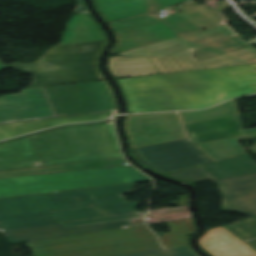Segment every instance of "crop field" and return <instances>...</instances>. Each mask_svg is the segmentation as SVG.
Instances as JSON below:
<instances>
[{
  "label": "crop field",
  "mask_w": 256,
  "mask_h": 256,
  "mask_svg": "<svg viewBox=\"0 0 256 256\" xmlns=\"http://www.w3.org/2000/svg\"><path fill=\"white\" fill-rule=\"evenodd\" d=\"M139 202L50 212L56 223L136 212Z\"/></svg>",
  "instance_id": "bc2a9ffb"
},
{
  "label": "crop field",
  "mask_w": 256,
  "mask_h": 256,
  "mask_svg": "<svg viewBox=\"0 0 256 256\" xmlns=\"http://www.w3.org/2000/svg\"><path fill=\"white\" fill-rule=\"evenodd\" d=\"M155 235L145 226L112 229L103 232L73 235L31 243L36 256L86 250L155 240Z\"/></svg>",
  "instance_id": "5a996713"
},
{
  "label": "crop field",
  "mask_w": 256,
  "mask_h": 256,
  "mask_svg": "<svg viewBox=\"0 0 256 256\" xmlns=\"http://www.w3.org/2000/svg\"><path fill=\"white\" fill-rule=\"evenodd\" d=\"M30 138L45 166L122 157L108 123L65 127Z\"/></svg>",
  "instance_id": "412701ff"
},
{
  "label": "crop field",
  "mask_w": 256,
  "mask_h": 256,
  "mask_svg": "<svg viewBox=\"0 0 256 256\" xmlns=\"http://www.w3.org/2000/svg\"><path fill=\"white\" fill-rule=\"evenodd\" d=\"M149 180L147 176L131 166L0 178V198L129 184Z\"/></svg>",
  "instance_id": "dd49c442"
},
{
  "label": "crop field",
  "mask_w": 256,
  "mask_h": 256,
  "mask_svg": "<svg viewBox=\"0 0 256 256\" xmlns=\"http://www.w3.org/2000/svg\"><path fill=\"white\" fill-rule=\"evenodd\" d=\"M179 113L184 124L239 114L234 100L222 103L209 110Z\"/></svg>",
  "instance_id": "4177f3b9"
},
{
  "label": "crop field",
  "mask_w": 256,
  "mask_h": 256,
  "mask_svg": "<svg viewBox=\"0 0 256 256\" xmlns=\"http://www.w3.org/2000/svg\"><path fill=\"white\" fill-rule=\"evenodd\" d=\"M139 217H143V215H140L139 213H133V214L118 215V216H110L105 218L74 221V222H68L63 224L67 227H76V226H82V225H88V224H94V223L110 222V221L139 218Z\"/></svg>",
  "instance_id": "750c4746"
},
{
  "label": "crop field",
  "mask_w": 256,
  "mask_h": 256,
  "mask_svg": "<svg viewBox=\"0 0 256 256\" xmlns=\"http://www.w3.org/2000/svg\"><path fill=\"white\" fill-rule=\"evenodd\" d=\"M210 160L206 158L205 156L190 158V159H184V160H177V161H171V162H165V163H159V164H153L148 165L153 170L165 174L205 163H209Z\"/></svg>",
  "instance_id": "eef30255"
},
{
  "label": "crop field",
  "mask_w": 256,
  "mask_h": 256,
  "mask_svg": "<svg viewBox=\"0 0 256 256\" xmlns=\"http://www.w3.org/2000/svg\"><path fill=\"white\" fill-rule=\"evenodd\" d=\"M131 226L128 224L126 220L124 221H117V222H110V223H102V224H95L77 228H66L63 226L62 223L60 224H52V225H42V226H35L17 230H8L3 231L7 236H9L13 242L16 243H23V242H31L73 234H80V233H88V232H96L102 231L106 229L112 228H120V227H128Z\"/></svg>",
  "instance_id": "d1516ede"
},
{
  "label": "crop field",
  "mask_w": 256,
  "mask_h": 256,
  "mask_svg": "<svg viewBox=\"0 0 256 256\" xmlns=\"http://www.w3.org/2000/svg\"><path fill=\"white\" fill-rule=\"evenodd\" d=\"M117 54L128 57L109 60L115 78L256 63V49L237 37L227 24Z\"/></svg>",
  "instance_id": "ac0d7876"
},
{
  "label": "crop field",
  "mask_w": 256,
  "mask_h": 256,
  "mask_svg": "<svg viewBox=\"0 0 256 256\" xmlns=\"http://www.w3.org/2000/svg\"><path fill=\"white\" fill-rule=\"evenodd\" d=\"M121 256H198L190 246H181L169 249H160Z\"/></svg>",
  "instance_id": "ae1a2a85"
},
{
  "label": "crop field",
  "mask_w": 256,
  "mask_h": 256,
  "mask_svg": "<svg viewBox=\"0 0 256 256\" xmlns=\"http://www.w3.org/2000/svg\"><path fill=\"white\" fill-rule=\"evenodd\" d=\"M160 248L162 247L156 240V241H150V242L98 248V249H92V250H86V251L49 255V256H115L120 254L160 249Z\"/></svg>",
  "instance_id": "00972430"
},
{
  "label": "crop field",
  "mask_w": 256,
  "mask_h": 256,
  "mask_svg": "<svg viewBox=\"0 0 256 256\" xmlns=\"http://www.w3.org/2000/svg\"><path fill=\"white\" fill-rule=\"evenodd\" d=\"M107 41L54 46L33 64L3 65L32 74L30 87L83 82L102 79L97 63Z\"/></svg>",
  "instance_id": "f4fd0767"
},
{
  "label": "crop field",
  "mask_w": 256,
  "mask_h": 256,
  "mask_svg": "<svg viewBox=\"0 0 256 256\" xmlns=\"http://www.w3.org/2000/svg\"><path fill=\"white\" fill-rule=\"evenodd\" d=\"M168 176L191 183L212 180L222 191L223 211L256 215V174L219 180L202 166Z\"/></svg>",
  "instance_id": "3316defc"
},
{
  "label": "crop field",
  "mask_w": 256,
  "mask_h": 256,
  "mask_svg": "<svg viewBox=\"0 0 256 256\" xmlns=\"http://www.w3.org/2000/svg\"><path fill=\"white\" fill-rule=\"evenodd\" d=\"M109 26L118 41L110 54L204 31L182 13L161 18L146 14Z\"/></svg>",
  "instance_id": "d8731c3e"
},
{
  "label": "crop field",
  "mask_w": 256,
  "mask_h": 256,
  "mask_svg": "<svg viewBox=\"0 0 256 256\" xmlns=\"http://www.w3.org/2000/svg\"><path fill=\"white\" fill-rule=\"evenodd\" d=\"M44 166L29 136L0 143V172Z\"/></svg>",
  "instance_id": "5142ce71"
},
{
  "label": "crop field",
  "mask_w": 256,
  "mask_h": 256,
  "mask_svg": "<svg viewBox=\"0 0 256 256\" xmlns=\"http://www.w3.org/2000/svg\"><path fill=\"white\" fill-rule=\"evenodd\" d=\"M171 228L169 233L163 234L160 239L181 236V235H192L195 231V225L193 219L170 221L167 222Z\"/></svg>",
  "instance_id": "d3111659"
},
{
  "label": "crop field",
  "mask_w": 256,
  "mask_h": 256,
  "mask_svg": "<svg viewBox=\"0 0 256 256\" xmlns=\"http://www.w3.org/2000/svg\"><path fill=\"white\" fill-rule=\"evenodd\" d=\"M126 127L133 148L187 138L176 112L128 116Z\"/></svg>",
  "instance_id": "28ad6ade"
},
{
  "label": "crop field",
  "mask_w": 256,
  "mask_h": 256,
  "mask_svg": "<svg viewBox=\"0 0 256 256\" xmlns=\"http://www.w3.org/2000/svg\"><path fill=\"white\" fill-rule=\"evenodd\" d=\"M124 163H126L124 158L74 163V164H66V165H58V166H50V167L33 168V169L21 170V171L2 172L0 173V177L66 172V171L121 166V165H124Z\"/></svg>",
  "instance_id": "dafd665d"
},
{
  "label": "crop field",
  "mask_w": 256,
  "mask_h": 256,
  "mask_svg": "<svg viewBox=\"0 0 256 256\" xmlns=\"http://www.w3.org/2000/svg\"><path fill=\"white\" fill-rule=\"evenodd\" d=\"M0 229H16L34 225L55 223L49 212L0 219Z\"/></svg>",
  "instance_id": "730fd06b"
},
{
  "label": "crop field",
  "mask_w": 256,
  "mask_h": 256,
  "mask_svg": "<svg viewBox=\"0 0 256 256\" xmlns=\"http://www.w3.org/2000/svg\"><path fill=\"white\" fill-rule=\"evenodd\" d=\"M113 111L86 115V116H78V117H65V118H50L41 121H27V122H16L0 125V139L60 125L65 123H73V122H82V121H91V120H99L105 119L111 116Z\"/></svg>",
  "instance_id": "4a817a6b"
},
{
  "label": "crop field",
  "mask_w": 256,
  "mask_h": 256,
  "mask_svg": "<svg viewBox=\"0 0 256 256\" xmlns=\"http://www.w3.org/2000/svg\"><path fill=\"white\" fill-rule=\"evenodd\" d=\"M191 0H94L107 23L156 12Z\"/></svg>",
  "instance_id": "22f410ed"
},
{
  "label": "crop field",
  "mask_w": 256,
  "mask_h": 256,
  "mask_svg": "<svg viewBox=\"0 0 256 256\" xmlns=\"http://www.w3.org/2000/svg\"><path fill=\"white\" fill-rule=\"evenodd\" d=\"M160 241L165 248L180 246V245H188L187 236L163 239Z\"/></svg>",
  "instance_id": "bd1437ed"
},
{
  "label": "crop field",
  "mask_w": 256,
  "mask_h": 256,
  "mask_svg": "<svg viewBox=\"0 0 256 256\" xmlns=\"http://www.w3.org/2000/svg\"><path fill=\"white\" fill-rule=\"evenodd\" d=\"M133 185L134 184L0 199V218L89 207V205L97 206L123 203L126 202V200L120 195L131 192ZM70 196L73 198H69ZM77 199L82 202H77Z\"/></svg>",
  "instance_id": "e52e79f7"
},
{
  "label": "crop field",
  "mask_w": 256,
  "mask_h": 256,
  "mask_svg": "<svg viewBox=\"0 0 256 256\" xmlns=\"http://www.w3.org/2000/svg\"><path fill=\"white\" fill-rule=\"evenodd\" d=\"M253 89H254V91L256 92V85H252L251 86Z\"/></svg>",
  "instance_id": "5866460e"
},
{
  "label": "crop field",
  "mask_w": 256,
  "mask_h": 256,
  "mask_svg": "<svg viewBox=\"0 0 256 256\" xmlns=\"http://www.w3.org/2000/svg\"><path fill=\"white\" fill-rule=\"evenodd\" d=\"M109 110H114L113 101L103 81L24 89L0 97V123Z\"/></svg>",
  "instance_id": "34b2d1b8"
},
{
  "label": "crop field",
  "mask_w": 256,
  "mask_h": 256,
  "mask_svg": "<svg viewBox=\"0 0 256 256\" xmlns=\"http://www.w3.org/2000/svg\"><path fill=\"white\" fill-rule=\"evenodd\" d=\"M204 166L219 179L256 173V162L247 154Z\"/></svg>",
  "instance_id": "92a150f3"
},
{
  "label": "crop field",
  "mask_w": 256,
  "mask_h": 256,
  "mask_svg": "<svg viewBox=\"0 0 256 256\" xmlns=\"http://www.w3.org/2000/svg\"><path fill=\"white\" fill-rule=\"evenodd\" d=\"M128 111L204 109L232 97L255 93L256 64L117 80Z\"/></svg>",
  "instance_id": "8a807250"
},
{
  "label": "crop field",
  "mask_w": 256,
  "mask_h": 256,
  "mask_svg": "<svg viewBox=\"0 0 256 256\" xmlns=\"http://www.w3.org/2000/svg\"><path fill=\"white\" fill-rule=\"evenodd\" d=\"M256 137V134L200 144L198 145L203 151H205L214 161L241 155L246 153L240 146L238 140Z\"/></svg>",
  "instance_id": "a9b5d70f"
},
{
  "label": "crop field",
  "mask_w": 256,
  "mask_h": 256,
  "mask_svg": "<svg viewBox=\"0 0 256 256\" xmlns=\"http://www.w3.org/2000/svg\"><path fill=\"white\" fill-rule=\"evenodd\" d=\"M178 199H179V202H170V204L177 205V206L189 205L186 195L178 196Z\"/></svg>",
  "instance_id": "1d83c4d3"
},
{
  "label": "crop field",
  "mask_w": 256,
  "mask_h": 256,
  "mask_svg": "<svg viewBox=\"0 0 256 256\" xmlns=\"http://www.w3.org/2000/svg\"><path fill=\"white\" fill-rule=\"evenodd\" d=\"M250 150H251L253 153H256V145H254L253 147H251Z\"/></svg>",
  "instance_id": "d32e631a"
},
{
  "label": "crop field",
  "mask_w": 256,
  "mask_h": 256,
  "mask_svg": "<svg viewBox=\"0 0 256 256\" xmlns=\"http://www.w3.org/2000/svg\"><path fill=\"white\" fill-rule=\"evenodd\" d=\"M107 40L87 13L72 15L59 44ZM57 44V45H59Z\"/></svg>",
  "instance_id": "214f88e0"
},
{
  "label": "crop field",
  "mask_w": 256,
  "mask_h": 256,
  "mask_svg": "<svg viewBox=\"0 0 256 256\" xmlns=\"http://www.w3.org/2000/svg\"><path fill=\"white\" fill-rule=\"evenodd\" d=\"M185 127L195 144L256 133V128L243 130L239 115L187 124Z\"/></svg>",
  "instance_id": "cbeb9de0"
},
{
  "label": "crop field",
  "mask_w": 256,
  "mask_h": 256,
  "mask_svg": "<svg viewBox=\"0 0 256 256\" xmlns=\"http://www.w3.org/2000/svg\"><path fill=\"white\" fill-rule=\"evenodd\" d=\"M211 256H256V252L223 226L212 229L199 240Z\"/></svg>",
  "instance_id": "d9b57169"
},
{
  "label": "crop field",
  "mask_w": 256,
  "mask_h": 256,
  "mask_svg": "<svg viewBox=\"0 0 256 256\" xmlns=\"http://www.w3.org/2000/svg\"><path fill=\"white\" fill-rule=\"evenodd\" d=\"M133 152L146 165L203 155L188 139L135 148Z\"/></svg>",
  "instance_id": "733c2abd"
},
{
  "label": "crop field",
  "mask_w": 256,
  "mask_h": 256,
  "mask_svg": "<svg viewBox=\"0 0 256 256\" xmlns=\"http://www.w3.org/2000/svg\"><path fill=\"white\" fill-rule=\"evenodd\" d=\"M79 8L75 11V13H82V12H87V9L84 5V3L82 2V0H77Z\"/></svg>",
  "instance_id": "120bbe31"
}]
</instances>
